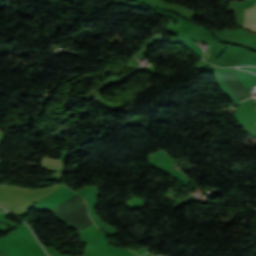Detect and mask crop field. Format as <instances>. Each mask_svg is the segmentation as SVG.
<instances>
[{
  "label": "crop field",
  "mask_w": 256,
  "mask_h": 256,
  "mask_svg": "<svg viewBox=\"0 0 256 256\" xmlns=\"http://www.w3.org/2000/svg\"><path fill=\"white\" fill-rule=\"evenodd\" d=\"M244 27L256 32V5L246 10Z\"/></svg>",
  "instance_id": "8a807250"
}]
</instances>
